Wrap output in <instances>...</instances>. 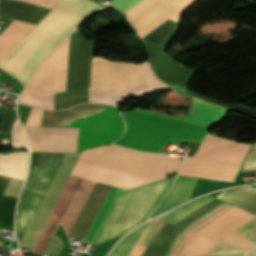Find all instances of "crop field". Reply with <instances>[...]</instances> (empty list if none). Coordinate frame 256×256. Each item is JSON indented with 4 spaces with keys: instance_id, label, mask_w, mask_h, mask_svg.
<instances>
[{
    "instance_id": "23",
    "label": "crop field",
    "mask_w": 256,
    "mask_h": 256,
    "mask_svg": "<svg viewBox=\"0 0 256 256\" xmlns=\"http://www.w3.org/2000/svg\"><path fill=\"white\" fill-rule=\"evenodd\" d=\"M212 198L213 197H209L207 195L203 196V197L198 198L180 208L170 211V212L160 216L159 218L174 224L177 221H179L180 219H182L183 217H185L186 215H188L189 213H191L192 211L196 210L197 208H199L200 206H202L203 204H205L206 202L211 200Z\"/></svg>"
},
{
    "instance_id": "28",
    "label": "crop field",
    "mask_w": 256,
    "mask_h": 256,
    "mask_svg": "<svg viewBox=\"0 0 256 256\" xmlns=\"http://www.w3.org/2000/svg\"><path fill=\"white\" fill-rule=\"evenodd\" d=\"M18 120L13 125L11 148H28V144L26 142L24 132Z\"/></svg>"
},
{
    "instance_id": "25",
    "label": "crop field",
    "mask_w": 256,
    "mask_h": 256,
    "mask_svg": "<svg viewBox=\"0 0 256 256\" xmlns=\"http://www.w3.org/2000/svg\"><path fill=\"white\" fill-rule=\"evenodd\" d=\"M163 223V220L156 218L155 221L152 223L140 243L137 245L131 256H140L150 240L153 238L161 224Z\"/></svg>"
},
{
    "instance_id": "35",
    "label": "crop field",
    "mask_w": 256,
    "mask_h": 256,
    "mask_svg": "<svg viewBox=\"0 0 256 256\" xmlns=\"http://www.w3.org/2000/svg\"><path fill=\"white\" fill-rule=\"evenodd\" d=\"M140 0H116L111 3V5L117 7L118 9L125 11Z\"/></svg>"
},
{
    "instance_id": "5",
    "label": "crop field",
    "mask_w": 256,
    "mask_h": 256,
    "mask_svg": "<svg viewBox=\"0 0 256 256\" xmlns=\"http://www.w3.org/2000/svg\"><path fill=\"white\" fill-rule=\"evenodd\" d=\"M162 88L172 87L154 75L148 61L135 64L92 58L89 102L116 105L132 95Z\"/></svg>"
},
{
    "instance_id": "3",
    "label": "crop field",
    "mask_w": 256,
    "mask_h": 256,
    "mask_svg": "<svg viewBox=\"0 0 256 256\" xmlns=\"http://www.w3.org/2000/svg\"><path fill=\"white\" fill-rule=\"evenodd\" d=\"M79 154L80 153L67 154L66 156V154L61 153H40L25 183L18 205L16 217L18 242L25 232L65 156L66 158L19 243V246L31 248V251H33L52 215L49 211L63 188Z\"/></svg>"
},
{
    "instance_id": "17",
    "label": "crop field",
    "mask_w": 256,
    "mask_h": 256,
    "mask_svg": "<svg viewBox=\"0 0 256 256\" xmlns=\"http://www.w3.org/2000/svg\"><path fill=\"white\" fill-rule=\"evenodd\" d=\"M35 27L25 22L14 20L0 35V62L12 49Z\"/></svg>"
},
{
    "instance_id": "15",
    "label": "crop field",
    "mask_w": 256,
    "mask_h": 256,
    "mask_svg": "<svg viewBox=\"0 0 256 256\" xmlns=\"http://www.w3.org/2000/svg\"><path fill=\"white\" fill-rule=\"evenodd\" d=\"M50 9L17 0H0V15L37 24Z\"/></svg>"
},
{
    "instance_id": "7",
    "label": "crop field",
    "mask_w": 256,
    "mask_h": 256,
    "mask_svg": "<svg viewBox=\"0 0 256 256\" xmlns=\"http://www.w3.org/2000/svg\"><path fill=\"white\" fill-rule=\"evenodd\" d=\"M96 182L70 174L50 212L53 213L33 253L41 254L57 224L61 221L69 235Z\"/></svg>"
},
{
    "instance_id": "20",
    "label": "crop field",
    "mask_w": 256,
    "mask_h": 256,
    "mask_svg": "<svg viewBox=\"0 0 256 256\" xmlns=\"http://www.w3.org/2000/svg\"><path fill=\"white\" fill-rule=\"evenodd\" d=\"M197 1L199 0H180L178 3H176L164 13L159 15L157 18L152 20L150 23L142 27L138 32H136L137 35L141 39L168 18L175 22L178 21L182 12L192 6Z\"/></svg>"
},
{
    "instance_id": "24",
    "label": "crop field",
    "mask_w": 256,
    "mask_h": 256,
    "mask_svg": "<svg viewBox=\"0 0 256 256\" xmlns=\"http://www.w3.org/2000/svg\"><path fill=\"white\" fill-rule=\"evenodd\" d=\"M174 28L175 22L168 19L141 40L144 44L154 43L161 47Z\"/></svg>"
},
{
    "instance_id": "14",
    "label": "crop field",
    "mask_w": 256,
    "mask_h": 256,
    "mask_svg": "<svg viewBox=\"0 0 256 256\" xmlns=\"http://www.w3.org/2000/svg\"><path fill=\"white\" fill-rule=\"evenodd\" d=\"M178 1L179 0H142L135 6L125 11L126 18L136 32L146 23L154 19L156 16Z\"/></svg>"
},
{
    "instance_id": "9",
    "label": "crop field",
    "mask_w": 256,
    "mask_h": 256,
    "mask_svg": "<svg viewBox=\"0 0 256 256\" xmlns=\"http://www.w3.org/2000/svg\"><path fill=\"white\" fill-rule=\"evenodd\" d=\"M43 112L33 107L24 125L31 151L76 152L79 129L40 127Z\"/></svg>"
},
{
    "instance_id": "18",
    "label": "crop field",
    "mask_w": 256,
    "mask_h": 256,
    "mask_svg": "<svg viewBox=\"0 0 256 256\" xmlns=\"http://www.w3.org/2000/svg\"><path fill=\"white\" fill-rule=\"evenodd\" d=\"M28 160V152H13L0 155V175L24 180Z\"/></svg>"
},
{
    "instance_id": "26",
    "label": "crop field",
    "mask_w": 256,
    "mask_h": 256,
    "mask_svg": "<svg viewBox=\"0 0 256 256\" xmlns=\"http://www.w3.org/2000/svg\"><path fill=\"white\" fill-rule=\"evenodd\" d=\"M232 233L256 243V217L240 226Z\"/></svg>"
},
{
    "instance_id": "38",
    "label": "crop field",
    "mask_w": 256,
    "mask_h": 256,
    "mask_svg": "<svg viewBox=\"0 0 256 256\" xmlns=\"http://www.w3.org/2000/svg\"><path fill=\"white\" fill-rule=\"evenodd\" d=\"M214 254H210V255H201V256H213Z\"/></svg>"
},
{
    "instance_id": "8",
    "label": "crop field",
    "mask_w": 256,
    "mask_h": 256,
    "mask_svg": "<svg viewBox=\"0 0 256 256\" xmlns=\"http://www.w3.org/2000/svg\"><path fill=\"white\" fill-rule=\"evenodd\" d=\"M254 216L255 215L235 206L228 212L193 233L179 256L207 253L212 244L222 237L247 249L256 246L255 243L230 233Z\"/></svg>"
},
{
    "instance_id": "13",
    "label": "crop field",
    "mask_w": 256,
    "mask_h": 256,
    "mask_svg": "<svg viewBox=\"0 0 256 256\" xmlns=\"http://www.w3.org/2000/svg\"><path fill=\"white\" fill-rule=\"evenodd\" d=\"M239 167L198 158H185L179 174L233 181Z\"/></svg>"
},
{
    "instance_id": "4",
    "label": "crop field",
    "mask_w": 256,
    "mask_h": 256,
    "mask_svg": "<svg viewBox=\"0 0 256 256\" xmlns=\"http://www.w3.org/2000/svg\"><path fill=\"white\" fill-rule=\"evenodd\" d=\"M101 7L90 0H61L0 63V68L17 78L24 87L49 52Z\"/></svg>"
},
{
    "instance_id": "2",
    "label": "crop field",
    "mask_w": 256,
    "mask_h": 256,
    "mask_svg": "<svg viewBox=\"0 0 256 256\" xmlns=\"http://www.w3.org/2000/svg\"><path fill=\"white\" fill-rule=\"evenodd\" d=\"M227 109L194 98L189 115L171 116L135 109L121 113L127 130L114 144L139 151L160 153L169 141L197 140L220 120Z\"/></svg>"
},
{
    "instance_id": "34",
    "label": "crop field",
    "mask_w": 256,
    "mask_h": 256,
    "mask_svg": "<svg viewBox=\"0 0 256 256\" xmlns=\"http://www.w3.org/2000/svg\"><path fill=\"white\" fill-rule=\"evenodd\" d=\"M30 4L53 9L60 0H21Z\"/></svg>"
},
{
    "instance_id": "33",
    "label": "crop field",
    "mask_w": 256,
    "mask_h": 256,
    "mask_svg": "<svg viewBox=\"0 0 256 256\" xmlns=\"http://www.w3.org/2000/svg\"><path fill=\"white\" fill-rule=\"evenodd\" d=\"M22 184L23 182L11 179L4 194L17 198Z\"/></svg>"
},
{
    "instance_id": "12",
    "label": "crop field",
    "mask_w": 256,
    "mask_h": 256,
    "mask_svg": "<svg viewBox=\"0 0 256 256\" xmlns=\"http://www.w3.org/2000/svg\"><path fill=\"white\" fill-rule=\"evenodd\" d=\"M220 202L221 201L214 198L174 225L164 221V223L162 224V226L160 227V229L141 256H162L182 227H184L200 215L204 214Z\"/></svg>"
},
{
    "instance_id": "32",
    "label": "crop field",
    "mask_w": 256,
    "mask_h": 256,
    "mask_svg": "<svg viewBox=\"0 0 256 256\" xmlns=\"http://www.w3.org/2000/svg\"><path fill=\"white\" fill-rule=\"evenodd\" d=\"M224 202L220 203L219 205H217L216 207H214L213 209H211L210 211H208L207 213H205L204 215L200 216L199 218H197L196 220H194L193 222H191L190 224H188L187 226H185L184 228L181 229V231L179 232V234L176 236V238L174 239V241L172 242V244L169 246V248L167 249V251L165 252V254L163 256H167L169 254V252L171 251V249L173 248V246L175 245V243L178 241V239L180 238V236L182 235V233L184 232V230L186 228H188L189 226H191L192 224H194L195 222H197L198 220H200L201 218H203L204 216L208 215L209 213H211L212 211H214L215 209H217L218 207H220L221 205H223Z\"/></svg>"
},
{
    "instance_id": "29",
    "label": "crop field",
    "mask_w": 256,
    "mask_h": 256,
    "mask_svg": "<svg viewBox=\"0 0 256 256\" xmlns=\"http://www.w3.org/2000/svg\"><path fill=\"white\" fill-rule=\"evenodd\" d=\"M59 225H60V223L58 224L56 230L58 229ZM56 230H55V232H56ZM55 232H54V234H55ZM54 234L52 235V237H51L49 243L47 244L43 253L49 254L52 256H58L64 243L60 236H57Z\"/></svg>"
},
{
    "instance_id": "37",
    "label": "crop field",
    "mask_w": 256,
    "mask_h": 256,
    "mask_svg": "<svg viewBox=\"0 0 256 256\" xmlns=\"http://www.w3.org/2000/svg\"><path fill=\"white\" fill-rule=\"evenodd\" d=\"M246 256H256V248L248 251V253L246 254Z\"/></svg>"
},
{
    "instance_id": "22",
    "label": "crop field",
    "mask_w": 256,
    "mask_h": 256,
    "mask_svg": "<svg viewBox=\"0 0 256 256\" xmlns=\"http://www.w3.org/2000/svg\"><path fill=\"white\" fill-rule=\"evenodd\" d=\"M232 207L233 206L226 203L223 206H221L220 208H218L217 210H215L214 212H212L211 214H209L208 216L204 217L203 219H201L200 221H198L197 223H195L194 225H192L191 227L186 229L168 256H178V254L180 253V251L182 250L185 243L187 242V240L189 239V237L191 236V234L193 232H195L199 228L203 227L204 225H206L213 219L217 218L218 216H220L227 210L231 209Z\"/></svg>"
},
{
    "instance_id": "30",
    "label": "crop field",
    "mask_w": 256,
    "mask_h": 256,
    "mask_svg": "<svg viewBox=\"0 0 256 256\" xmlns=\"http://www.w3.org/2000/svg\"><path fill=\"white\" fill-rule=\"evenodd\" d=\"M245 249L237 244H234L224 238L220 239L216 243L213 244L208 253L212 252H222V251H232V250H242Z\"/></svg>"
},
{
    "instance_id": "21",
    "label": "crop field",
    "mask_w": 256,
    "mask_h": 256,
    "mask_svg": "<svg viewBox=\"0 0 256 256\" xmlns=\"http://www.w3.org/2000/svg\"><path fill=\"white\" fill-rule=\"evenodd\" d=\"M153 221L136 228L126 235L108 256H130Z\"/></svg>"
},
{
    "instance_id": "36",
    "label": "crop field",
    "mask_w": 256,
    "mask_h": 256,
    "mask_svg": "<svg viewBox=\"0 0 256 256\" xmlns=\"http://www.w3.org/2000/svg\"><path fill=\"white\" fill-rule=\"evenodd\" d=\"M244 252H246V251L220 253V254H215L214 256H243Z\"/></svg>"
},
{
    "instance_id": "10",
    "label": "crop field",
    "mask_w": 256,
    "mask_h": 256,
    "mask_svg": "<svg viewBox=\"0 0 256 256\" xmlns=\"http://www.w3.org/2000/svg\"><path fill=\"white\" fill-rule=\"evenodd\" d=\"M155 74L163 81L184 91L193 71L184 67L155 45L144 46Z\"/></svg>"
},
{
    "instance_id": "39",
    "label": "crop field",
    "mask_w": 256,
    "mask_h": 256,
    "mask_svg": "<svg viewBox=\"0 0 256 256\" xmlns=\"http://www.w3.org/2000/svg\"><path fill=\"white\" fill-rule=\"evenodd\" d=\"M1 231V230H0ZM2 243H0V245H1Z\"/></svg>"
},
{
    "instance_id": "31",
    "label": "crop field",
    "mask_w": 256,
    "mask_h": 256,
    "mask_svg": "<svg viewBox=\"0 0 256 256\" xmlns=\"http://www.w3.org/2000/svg\"><path fill=\"white\" fill-rule=\"evenodd\" d=\"M256 170V143L250 149L241 171Z\"/></svg>"
},
{
    "instance_id": "1",
    "label": "crop field",
    "mask_w": 256,
    "mask_h": 256,
    "mask_svg": "<svg viewBox=\"0 0 256 256\" xmlns=\"http://www.w3.org/2000/svg\"><path fill=\"white\" fill-rule=\"evenodd\" d=\"M41 126L80 128L77 152L112 144L125 129V123L117 108L100 104H82L63 111L45 110ZM77 162L152 182L165 178L166 173L177 172L182 161L172 156L106 145L82 152ZM78 163L72 174L83 178L126 189L148 183ZM174 178L129 190L113 186L84 242L97 245L147 220Z\"/></svg>"
},
{
    "instance_id": "40",
    "label": "crop field",
    "mask_w": 256,
    "mask_h": 256,
    "mask_svg": "<svg viewBox=\"0 0 256 256\" xmlns=\"http://www.w3.org/2000/svg\"><path fill=\"white\" fill-rule=\"evenodd\" d=\"M108 1H112V0H108Z\"/></svg>"
},
{
    "instance_id": "11",
    "label": "crop field",
    "mask_w": 256,
    "mask_h": 256,
    "mask_svg": "<svg viewBox=\"0 0 256 256\" xmlns=\"http://www.w3.org/2000/svg\"><path fill=\"white\" fill-rule=\"evenodd\" d=\"M250 146L249 144L207 135L195 157L241 166Z\"/></svg>"
},
{
    "instance_id": "16",
    "label": "crop field",
    "mask_w": 256,
    "mask_h": 256,
    "mask_svg": "<svg viewBox=\"0 0 256 256\" xmlns=\"http://www.w3.org/2000/svg\"><path fill=\"white\" fill-rule=\"evenodd\" d=\"M198 179L178 176L173 187L154 210L151 217L188 200Z\"/></svg>"
},
{
    "instance_id": "27",
    "label": "crop field",
    "mask_w": 256,
    "mask_h": 256,
    "mask_svg": "<svg viewBox=\"0 0 256 256\" xmlns=\"http://www.w3.org/2000/svg\"><path fill=\"white\" fill-rule=\"evenodd\" d=\"M15 109H8L7 111L0 110V132H11V126L16 117Z\"/></svg>"
},
{
    "instance_id": "19",
    "label": "crop field",
    "mask_w": 256,
    "mask_h": 256,
    "mask_svg": "<svg viewBox=\"0 0 256 256\" xmlns=\"http://www.w3.org/2000/svg\"><path fill=\"white\" fill-rule=\"evenodd\" d=\"M217 198L225 200L256 215L255 187L244 186L225 190L219 194Z\"/></svg>"
},
{
    "instance_id": "6",
    "label": "crop field",
    "mask_w": 256,
    "mask_h": 256,
    "mask_svg": "<svg viewBox=\"0 0 256 256\" xmlns=\"http://www.w3.org/2000/svg\"><path fill=\"white\" fill-rule=\"evenodd\" d=\"M70 36L30 80L18 103L54 110L53 92L66 90Z\"/></svg>"
}]
</instances>
